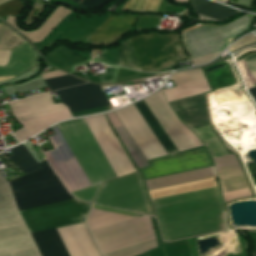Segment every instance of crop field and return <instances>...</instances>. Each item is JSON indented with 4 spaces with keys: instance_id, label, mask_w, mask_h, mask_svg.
Masks as SVG:
<instances>
[{
    "instance_id": "1",
    "label": "crop field",
    "mask_w": 256,
    "mask_h": 256,
    "mask_svg": "<svg viewBox=\"0 0 256 256\" xmlns=\"http://www.w3.org/2000/svg\"><path fill=\"white\" fill-rule=\"evenodd\" d=\"M151 201L167 242L220 231L226 213L218 187Z\"/></svg>"
},
{
    "instance_id": "2",
    "label": "crop field",
    "mask_w": 256,
    "mask_h": 256,
    "mask_svg": "<svg viewBox=\"0 0 256 256\" xmlns=\"http://www.w3.org/2000/svg\"><path fill=\"white\" fill-rule=\"evenodd\" d=\"M183 124L189 128L207 124L204 96L198 95L169 103ZM209 150L216 166L221 189L247 184L235 155H228L209 124L191 128ZM224 199L234 195L251 193L248 185L222 191Z\"/></svg>"
},
{
    "instance_id": "3",
    "label": "crop field",
    "mask_w": 256,
    "mask_h": 256,
    "mask_svg": "<svg viewBox=\"0 0 256 256\" xmlns=\"http://www.w3.org/2000/svg\"><path fill=\"white\" fill-rule=\"evenodd\" d=\"M131 40L144 72H157L187 59L177 34H147ZM131 40H125L114 48L118 64L142 71ZM114 50H101L102 60L117 64Z\"/></svg>"
},
{
    "instance_id": "4",
    "label": "crop field",
    "mask_w": 256,
    "mask_h": 256,
    "mask_svg": "<svg viewBox=\"0 0 256 256\" xmlns=\"http://www.w3.org/2000/svg\"><path fill=\"white\" fill-rule=\"evenodd\" d=\"M57 126L91 185L116 178L83 119Z\"/></svg>"
},
{
    "instance_id": "5",
    "label": "crop field",
    "mask_w": 256,
    "mask_h": 256,
    "mask_svg": "<svg viewBox=\"0 0 256 256\" xmlns=\"http://www.w3.org/2000/svg\"><path fill=\"white\" fill-rule=\"evenodd\" d=\"M108 17L109 16L62 22L39 45L46 49L54 45L62 37L89 41ZM135 19L136 18L129 16H110L90 41L113 44L125 34L127 29L134 23Z\"/></svg>"
},
{
    "instance_id": "6",
    "label": "crop field",
    "mask_w": 256,
    "mask_h": 256,
    "mask_svg": "<svg viewBox=\"0 0 256 256\" xmlns=\"http://www.w3.org/2000/svg\"><path fill=\"white\" fill-rule=\"evenodd\" d=\"M15 202L7 181L0 175V204ZM36 246L15 203L0 205V253ZM0 256H41L37 247Z\"/></svg>"
},
{
    "instance_id": "7",
    "label": "crop field",
    "mask_w": 256,
    "mask_h": 256,
    "mask_svg": "<svg viewBox=\"0 0 256 256\" xmlns=\"http://www.w3.org/2000/svg\"><path fill=\"white\" fill-rule=\"evenodd\" d=\"M18 210L72 199L50 166L8 182Z\"/></svg>"
},
{
    "instance_id": "8",
    "label": "crop field",
    "mask_w": 256,
    "mask_h": 256,
    "mask_svg": "<svg viewBox=\"0 0 256 256\" xmlns=\"http://www.w3.org/2000/svg\"><path fill=\"white\" fill-rule=\"evenodd\" d=\"M253 17H250V25ZM249 28V18L244 16L226 26H204L189 32L181 33L184 46L191 60L220 51L229 45L231 40ZM248 30V29H247ZM243 31V32H241ZM246 31V30H245ZM241 32V33H239ZM239 33V34H237ZM237 34V35H236ZM236 35V36H234ZM234 36V37H232ZM232 37V38H230ZM230 38V39H228ZM228 39V40H226ZM226 40V41H224ZM225 45H224V43ZM222 51V50H221ZM220 51V52H221ZM220 52L193 60L195 65L213 60Z\"/></svg>"
},
{
    "instance_id": "9",
    "label": "crop field",
    "mask_w": 256,
    "mask_h": 256,
    "mask_svg": "<svg viewBox=\"0 0 256 256\" xmlns=\"http://www.w3.org/2000/svg\"><path fill=\"white\" fill-rule=\"evenodd\" d=\"M93 203L154 217L139 172L103 183Z\"/></svg>"
},
{
    "instance_id": "10",
    "label": "crop field",
    "mask_w": 256,
    "mask_h": 256,
    "mask_svg": "<svg viewBox=\"0 0 256 256\" xmlns=\"http://www.w3.org/2000/svg\"><path fill=\"white\" fill-rule=\"evenodd\" d=\"M89 205L75 199L20 211L30 233L83 222Z\"/></svg>"
},
{
    "instance_id": "11",
    "label": "crop field",
    "mask_w": 256,
    "mask_h": 256,
    "mask_svg": "<svg viewBox=\"0 0 256 256\" xmlns=\"http://www.w3.org/2000/svg\"><path fill=\"white\" fill-rule=\"evenodd\" d=\"M91 234L101 255L155 238L150 218L146 216L105 227Z\"/></svg>"
},
{
    "instance_id": "12",
    "label": "crop field",
    "mask_w": 256,
    "mask_h": 256,
    "mask_svg": "<svg viewBox=\"0 0 256 256\" xmlns=\"http://www.w3.org/2000/svg\"><path fill=\"white\" fill-rule=\"evenodd\" d=\"M56 134L49 137L55 150L44 152L52 169L69 192L89 187L90 184L72 155L57 126L52 127Z\"/></svg>"
},
{
    "instance_id": "13",
    "label": "crop field",
    "mask_w": 256,
    "mask_h": 256,
    "mask_svg": "<svg viewBox=\"0 0 256 256\" xmlns=\"http://www.w3.org/2000/svg\"><path fill=\"white\" fill-rule=\"evenodd\" d=\"M144 101L178 152L202 146L196 136L178 120L167 105L162 89Z\"/></svg>"
},
{
    "instance_id": "14",
    "label": "crop field",
    "mask_w": 256,
    "mask_h": 256,
    "mask_svg": "<svg viewBox=\"0 0 256 256\" xmlns=\"http://www.w3.org/2000/svg\"><path fill=\"white\" fill-rule=\"evenodd\" d=\"M95 140L103 150L111 168L117 175L123 176L136 171L122 150L104 115L84 119Z\"/></svg>"
},
{
    "instance_id": "15",
    "label": "crop field",
    "mask_w": 256,
    "mask_h": 256,
    "mask_svg": "<svg viewBox=\"0 0 256 256\" xmlns=\"http://www.w3.org/2000/svg\"><path fill=\"white\" fill-rule=\"evenodd\" d=\"M114 113L146 160L167 155L133 104Z\"/></svg>"
},
{
    "instance_id": "16",
    "label": "crop field",
    "mask_w": 256,
    "mask_h": 256,
    "mask_svg": "<svg viewBox=\"0 0 256 256\" xmlns=\"http://www.w3.org/2000/svg\"><path fill=\"white\" fill-rule=\"evenodd\" d=\"M61 102L71 113L95 107L108 106L99 85L83 84L55 91Z\"/></svg>"
},
{
    "instance_id": "17",
    "label": "crop field",
    "mask_w": 256,
    "mask_h": 256,
    "mask_svg": "<svg viewBox=\"0 0 256 256\" xmlns=\"http://www.w3.org/2000/svg\"><path fill=\"white\" fill-rule=\"evenodd\" d=\"M170 80L176 87L164 90L169 102L210 90L201 69L172 75Z\"/></svg>"
},
{
    "instance_id": "18",
    "label": "crop field",
    "mask_w": 256,
    "mask_h": 256,
    "mask_svg": "<svg viewBox=\"0 0 256 256\" xmlns=\"http://www.w3.org/2000/svg\"><path fill=\"white\" fill-rule=\"evenodd\" d=\"M69 256H100L84 223L57 229Z\"/></svg>"
},
{
    "instance_id": "19",
    "label": "crop field",
    "mask_w": 256,
    "mask_h": 256,
    "mask_svg": "<svg viewBox=\"0 0 256 256\" xmlns=\"http://www.w3.org/2000/svg\"><path fill=\"white\" fill-rule=\"evenodd\" d=\"M9 104L17 121L67 108L62 103L55 105L49 93L10 102Z\"/></svg>"
},
{
    "instance_id": "20",
    "label": "crop field",
    "mask_w": 256,
    "mask_h": 256,
    "mask_svg": "<svg viewBox=\"0 0 256 256\" xmlns=\"http://www.w3.org/2000/svg\"><path fill=\"white\" fill-rule=\"evenodd\" d=\"M66 118H72V115L69 113L68 109L20 121L24 127L16 130L12 133V135L16 140L20 142L29 136L45 129L46 127Z\"/></svg>"
},
{
    "instance_id": "21",
    "label": "crop field",
    "mask_w": 256,
    "mask_h": 256,
    "mask_svg": "<svg viewBox=\"0 0 256 256\" xmlns=\"http://www.w3.org/2000/svg\"><path fill=\"white\" fill-rule=\"evenodd\" d=\"M34 66L31 46L25 41L11 51L6 66L0 67V76H18Z\"/></svg>"
},
{
    "instance_id": "22",
    "label": "crop field",
    "mask_w": 256,
    "mask_h": 256,
    "mask_svg": "<svg viewBox=\"0 0 256 256\" xmlns=\"http://www.w3.org/2000/svg\"><path fill=\"white\" fill-rule=\"evenodd\" d=\"M216 176L214 167L147 180L146 186L147 189H155L159 187H165V186H172V185H178L186 182L196 181L200 179L210 178Z\"/></svg>"
},
{
    "instance_id": "23",
    "label": "crop field",
    "mask_w": 256,
    "mask_h": 256,
    "mask_svg": "<svg viewBox=\"0 0 256 256\" xmlns=\"http://www.w3.org/2000/svg\"><path fill=\"white\" fill-rule=\"evenodd\" d=\"M31 235L42 256H68L55 229Z\"/></svg>"
},
{
    "instance_id": "24",
    "label": "crop field",
    "mask_w": 256,
    "mask_h": 256,
    "mask_svg": "<svg viewBox=\"0 0 256 256\" xmlns=\"http://www.w3.org/2000/svg\"><path fill=\"white\" fill-rule=\"evenodd\" d=\"M70 11L62 6H58L56 11L47 19L42 27L37 31L25 32L17 27L16 18L7 17L6 22L13 26L16 30L20 31L21 34L27 36L32 43L40 42Z\"/></svg>"
},
{
    "instance_id": "25",
    "label": "crop field",
    "mask_w": 256,
    "mask_h": 256,
    "mask_svg": "<svg viewBox=\"0 0 256 256\" xmlns=\"http://www.w3.org/2000/svg\"><path fill=\"white\" fill-rule=\"evenodd\" d=\"M190 4L192 5L193 12L196 11L216 21H225L228 18L238 14L227 7L209 2L207 0H191ZM196 12L194 13L199 16V19L214 21Z\"/></svg>"
},
{
    "instance_id": "26",
    "label": "crop field",
    "mask_w": 256,
    "mask_h": 256,
    "mask_svg": "<svg viewBox=\"0 0 256 256\" xmlns=\"http://www.w3.org/2000/svg\"><path fill=\"white\" fill-rule=\"evenodd\" d=\"M106 116L108 117L109 121L113 125L123 146L128 150L129 155L133 160L136 168L141 169V168L149 167V164L147 163V161L145 160L141 152L138 150V148L135 146V144L132 142V140L130 139V137L128 136L123 126L114 115V113L113 112L107 113Z\"/></svg>"
},
{
    "instance_id": "27",
    "label": "crop field",
    "mask_w": 256,
    "mask_h": 256,
    "mask_svg": "<svg viewBox=\"0 0 256 256\" xmlns=\"http://www.w3.org/2000/svg\"><path fill=\"white\" fill-rule=\"evenodd\" d=\"M141 116L143 117L144 121L147 123V125L150 127L162 147L165 149V151L170 154L177 153V150L169 140L168 136L162 129V127L159 125V123L156 121V119L153 117L147 106L145 105L144 101L141 100L134 104Z\"/></svg>"
},
{
    "instance_id": "28",
    "label": "crop field",
    "mask_w": 256,
    "mask_h": 256,
    "mask_svg": "<svg viewBox=\"0 0 256 256\" xmlns=\"http://www.w3.org/2000/svg\"><path fill=\"white\" fill-rule=\"evenodd\" d=\"M9 150L13 154L9 156V158L25 174L34 171L38 168L48 166L46 160L38 164L23 144L18 145Z\"/></svg>"
},
{
    "instance_id": "29",
    "label": "crop field",
    "mask_w": 256,
    "mask_h": 256,
    "mask_svg": "<svg viewBox=\"0 0 256 256\" xmlns=\"http://www.w3.org/2000/svg\"><path fill=\"white\" fill-rule=\"evenodd\" d=\"M133 218H135V217H130V216H125V215H120V214H115V213L104 212V211L92 209L89 214V218L87 220V225H88L90 231L92 232V231L100 229L102 227L116 224L119 222H123L126 220H130Z\"/></svg>"
},
{
    "instance_id": "30",
    "label": "crop field",
    "mask_w": 256,
    "mask_h": 256,
    "mask_svg": "<svg viewBox=\"0 0 256 256\" xmlns=\"http://www.w3.org/2000/svg\"><path fill=\"white\" fill-rule=\"evenodd\" d=\"M66 46V45H65ZM64 45H61L57 49L49 52L45 57L48 61H50L52 64L56 65L57 67L70 71V67L76 63L84 62L81 57L76 55L74 52L69 50Z\"/></svg>"
},
{
    "instance_id": "31",
    "label": "crop field",
    "mask_w": 256,
    "mask_h": 256,
    "mask_svg": "<svg viewBox=\"0 0 256 256\" xmlns=\"http://www.w3.org/2000/svg\"><path fill=\"white\" fill-rule=\"evenodd\" d=\"M156 247H157V243H156V240L154 239V240L146 242L144 244L130 247V248L120 250V251H117V252H114L111 254H107L104 256H134V255H137L140 253H145V252L152 250Z\"/></svg>"
},
{
    "instance_id": "32",
    "label": "crop field",
    "mask_w": 256,
    "mask_h": 256,
    "mask_svg": "<svg viewBox=\"0 0 256 256\" xmlns=\"http://www.w3.org/2000/svg\"><path fill=\"white\" fill-rule=\"evenodd\" d=\"M44 83L47 85L50 91H53L56 89L77 85V84H83L86 82L76 79L70 75H66L58 78L45 80Z\"/></svg>"
},
{
    "instance_id": "33",
    "label": "crop field",
    "mask_w": 256,
    "mask_h": 256,
    "mask_svg": "<svg viewBox=\"0 0 256 256\" xmlns=\"http://www.w3.org/2000/svg\"><path fill=\"white\" fill-rule=\"evenodd\" d=\"M161 0H129L124 10H153L156 11Z\"/></svg>"
},
{
    "instance_id": "34",
    "label": "crop field",
    "mask_w": 256,
    "mask_h": 256,
    "mask_svg": "<svg viewBox=\"0 0 256 256\" xmlns=\"http://www.w3.org/2000/svg\"><path fill=\"white\" fill-rule=\"evenodd\" d=\"M153 75H155V74L139 73V72L132 71V70H129V69L120 68L118 73H117L115 83L131 80V79H135V78L153 76Z\"/></svg>"
},
{
    "instance_id": "35",
    "label": "crop field",
    "mask_w": 256,
    "mask_h": 256,
    "mask_svg": "<svg viewBox=\"0 0 256 256\" xmlns=\"http://www.w3.org/2000/svg\"><path fill=\"white\" fill-rule=\"evenodd\" d=\"M22 12V4L19 0H13L0 6V16L3 17L7 14L16 15Z\"/></svg>"
},
{
    "instance_id": "36",
    "label": "crop field",
    "mask_w": 256,
    "mask_h": 256,
    "mask_svg": "<svg viewBox=\"0 0 256 256\" xmlns=\"http://www.w3.org/2000/svg\"><path fill=\"white\" fill-rule=\"evenodd\" d=\"M99 186L100 185H96V186L72 193V195L81 201L91 203Z\"/></svg>"
},
{
    "instance_id": "37",
    "label": "crop field",
    "mask_w": 256,
    "mask_h": 256,
    "mask_svg": "<svg viewBox=\"0 0 256 256\" xmlns=\"http://www.w3.org/2000/svg\"><path fill=\"white\" fill-rule=\"evenodd\" d=\"M160 16L146 15L139 16L137 27L154 28L159 24Z\"/></svg>"
},
{
    "instance_id": "38",
    "label": "crop field",
    "mask_w": 256,
    "mask_h": 256,
    "mask_svg": "<svg viewBox=\"0 0 256 256\" xmlns=\"http://www.w3.org/2000/svg\"><path fill=\"white\" fill-rule=\"evenodd\" d=\"M250 43H256V38L253 34H249L245 37H243L242 39H240L239 41H237L235 44H233L232 46H230L228 48V50L231 52L241 46H244L246 44H250Z\"/></svg>"
},
{
    "instance_id": "39",
    "label": "crop field",
    "mask_w": 256,
    "mask_h": 256,
    "mask_svg": "<svg viewBox=\"0 0 256 256\" xmlns=\"http://www.w3.org/2000/svg\"><path fill=\"white\" fill-rule=\"evenodd\" d=\"M111 0H82L78 7L82 9L100 7ZM77 7V8H78Z\"/></svg>"
},
{
    "instance_id": "40",
    "label": "crop field",
    "mask_w": 256,
    "mask_h": 256,
    "mask_svg": "<svg viewBox=\"0 0 256 256\" xmlns=\"http://www.w3.org/2000/svg\"><path fill=\"white\" fill-rule=\"evenodd\" d=\"M23 41L25 40H23L21 37L15 34L11 36L10 39L0 47V50L12 49L15 46L19 45L20 43H22Z\"/></svg>"
},
{
    "instance_id": "41",
    "label": "crop field",
    "mask_w": 256,
    "mask_h": 256,
    "mask_svg": "<svg viewBox=\"0 0 256 256\" xmlns=\"http://www.w3.org/2000/svg\"><path fill=\"white\" fill-rule=\"evenodd\" d=\"M114 69L113 70H108L107 72L103 74H99V79L101 83H110L111 79L113 77Z\"/></svg>"
},
{
    "instance_id": "42",
    "label": "crop field",
    "mask_w": 256,
    "mask_h": 256,
    "mask_svg": "<svg viewBox=\"0 0 256 256\" xmlns=\"http://www.w3.org/2000/svg\"><path fill=\"white\" fill-rule=\"evenodd\" d=\"M14 32H12L6 25L4 26V29L2 31L1 37H0V45L11 35H13Z\"/></svg>"
},
{
    "instance_id": "43",
    "label": "crop field",
    "mask_w": 256,
    "mask_h": 256,
    "mask_svg": "<svg viewBox=\"0 0 256 256\" xmlns=\"http://www.w3.org/2000/svg\"><path fill=\"white\" fill-rule=\"evenodd\" d=\"M106 110H107V108L103 107V108L93 109V110H89V111L74 113L73 116L77 117V116H82V115H89V114H93V113H97V112H101V111H106Z\"/></svg>"
},
{
    "instance_id": "44",
    "label": "crop field",
    "mask_w": 256,
    "mask_h": 256,
    "mask_svg": "<svg viewBox=\"0 0 256 256\" xmlns=\"http://www.w3.org/2000/svg\"><path fill=\"white\" fill-rule=\"evenodd\" d=\"M11 50L0 51V66H4L7 63Z\"/></svg>"
},
{
    "instance_id": "45",
    "label": "crop field",
    "mask_w": 256,
    "mask_h": 256,
    "mask_svg": "<svg viewBox=\"0 0 256 256\" xmlns=\"http://www.w3.org/2000/svg\"><path fill=\"white\" fill-rule=\"evenodd\" d=\"M61 75H65V74L58 70H55V71L44 73L42 75V79L57 77V76H61Z\"/></svg>"
},
{
    "instance_id": "46",
    "label": "crop field",
    "mask_w": 256,
    "mask_h": 256,
    "mask_svg": "<svg viewBox=\"0 0 256 256\" xmlns=\"http://www.w3.org/2000/svg\"><path fill=\"white\" fill-rule=\"evenodd\" d=\"M186 8L166 6L164 11L182 13Z\"/></svg>"
},
{
    "instance_id": "47",
    "label": "crop field",
    "mask_w": 256,
    "mask_h": 256,
    "mask_svg": "<svg viewBox=\"0 0 256 256\" xmlns=\"http://www.w3.org/2000/svg\"><path fill=\"white\" fill-rule=\"evenodd\" d=\"M249 91V93H250V95L252 96V98L255 100V102H256V88H254V89H250V90H248Z\"/></svg>"
},
{
    "instance_id": "48",
    "label": "crop field",
    "mask_w": 256,
    "mask_h": 256,
    "mask_svg": "<svg viewBox=\"0 0 256 256\" xmlns=\"http://www.w3.org/2000/svg\"><path fill=\"white\" fill-rule=\"evenodd\" d=\"M165 3H166V1L163 0L157 12H162V10H163V8L165 6Z\"/></svg>"
},
{
    "instance_id": "49",
    "label": "crop field",
    "mask_w": 256,
    "mask_h": 256,
    "mask_svg": "<svg viewBox=\"0 0 256 256\" xmlns=\"http://www.w3.org/2000/svg\"><path fill=\"white\" fill-rule=\"evenodd\" d=\"M11 78H14V77H0V81L8 80V79H11Z\"/></svg>"
},
{
    "instance_id": "50",
    "label": "crop field",
    "mask_w": 256,
    "mask_h": 256,
    "mask_svg": "<svg viewBox=\"0 0 256 256\" xmlns=\"http://www.w3.org/2000/svg\"><path fill=\"white\" fill-rule=\"evenodd\" d=\"M174 1H176L178 3H188V0H174Z\"/></svg>"
},
{
    "instance_id": "51",
    "label": "crop field",
    "mask_w": 256,
    "mask_h": 256,
    "mask_svg": "<svg viewBox=\"0 0 256 256\" xmlns=\"http://www.w3.org/2000/svg\"><path fill=\"white\" fill-rule=\"evenodd\" d=\"M7 1H9V0H0V4L5 3Z\"/></svg>"
},
{
    "instance_id": "52",
    "label": "crop field",
    "mask_w": 256,
    "mask_h": 256,
    "mask_svg": "<svg viewBox=\"0 0 256 256\" xmlns=\"http://www.w3.org/2000/svg\"><path fill=\"white\" fill-rule=\"evenodd\" d=\"M219 1H222V2H225V3H227V2H228V0H219Z\"/></svg>"
},
{
    "instance_id": "53",
    "label": "crop field",
    "mask_w": 256,
    "mask_h": 256,
    "mask_svg": "<svg viewBox=\"0 0 256 256\" xmlns=\"http://www.w3.org/2000/svg\"><path fill=\"white\" fill-rule=\"evenodd\" d=\"M2 27H3V23L0 24V31H1Z\"/></svg>"
},
{
    "instance_id": "54",
    "label": "crop field",
    "mask_w": 256,
    "mask_h": 256,
    "mask_svg": "<svg viewBox=\"0 0 256 256\" xmlns=\"http://www.w3.org/2000/svg\"><path fill=\"white\" fill-rule=\"evenodd\" d=\"M72 1H75V2H77V3H79V2H80V0H72Z\"/></svg>"
},
{
    "instance_id": "55",
    "label": "crop field",
    "mask_w": 256,
    "mask_h": 256,
    "mask_svg": "<svg viewBox=\"0 0 256 256\" xmlns=\"http://www.w3.org/2000/svg\"><path fill=\"white\" fill-rule=\"evenodd\" d=\"M254 256H256V253H254Z\"/></svg>"
}]
</instances>
